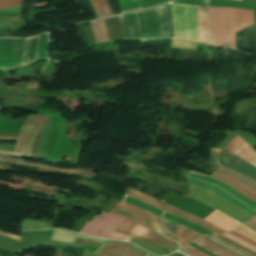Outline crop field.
Listing matches in <instances>:
<instances>
[{"label": "crop field", "mask_w": 256, "mask_h": 256, "mask_svg": "<svg viewBox=\"0 0 256 256\" xmlns=\"http://www.w3.org/2000/svg\"><path fill=\"white\" fill-rule=\"evenodd\" d=\"M104 21L110 39L124 38L119 16Z\"/></svg>", "instance_id": "crop-field-18"}, {"label": "crop field", "mask_w": 256, "mask_h": 256, "mask_svg": "<svg viewBox=\"0 0 256 256\" xmlns=\"http://www.w3.org/2000/svg\"><path fill=\"white\" fill-rule=\"evenodd\" d=\"M188 181L232 203L247 213L256 215V202L242 195L230 186L206 175L189 171Z\"/></svg>", "instance_id": "crop-field-4"}, {"label": "crop field", "mask_w": 256, "mask_h": 256, "mask_svg": "<svg viewBox=\"0 0 256 256\" xmlns=\"http://www.w3.org/2000/svg\"><path fill=\"white\" fill-rule=\"evenodd\" d=\"M210 237H212V238L218 240L219 242H221V243H223V244L229 246L228 244L222 242L221 240H219V239H217V238H215V237H213V236H210ZM210 237H209V238H210ZM212 238H211V239H212ZM214 239H213V240H214ZM216 240H215V241H216ZM218 241H217V242H218ZM221 243H220V244H221ZM223 244H222V245H223ZM225 245H224V246H225ZM227 246H226V247H227ZM229 247H231V246H229ZM231 248H233V247H231ZM233 249L236 250V251H238V252H240V253H242V254H244V255H246V256H250V255H248V254H246V253H243V252H241V251H239V250H237V249H235V248H233Z\"/></svg>", "instance_id": "crop-field-34"}, {"label": "crop field", "mask_w": 256, "mask_h": 256, "mask_svg": "<svg viewBox=\"0 0 256 256\" xmlns=\"http://www.w3.org/2000/svg\"><path fill=\"white\" fill-rule=\"evenodd\" d=\"M42 116H27L19 133L16 151L17 153L30 154L35 136L37 134Z\"/></svg>", "instance_id": "crop-field-10"}, {"label": "crop field", "mask_w": 256, "mask_h": 256, "mask_svg": "<svg viewBox=\"0 0 256 256\" xmlns=\"http://www.w3.org/2000/svg\"><path fill=\"white\" fill-rule=\"evenodd\" d=\"M180 250H182V251H184V252H186V253H188V254H190L191 256H208V255H206V254H204V253H202V252H200V251H198V250H196V249H194V248H192V247H190V246H185V247H182V248H180ZM179 251V250H178ZM181 252V251H180ZM183 253V252H182ZM185 254V253H184ZM187 255V254H186ZM189 256V255H188Z\"/></svg>", "instance_id": "crop-field-29"}, {"label": "crop field", "mask_w": 256, "mask_h": 256, "mask_svg": "<svg viewBox=\"0 0 256 256\" xmlns=\"http://www.w3.org/2000/svg\"><path fill=\"white\" fill-rule=\"evenodd\" d=\"M205 220L219 226L226 231L232 229L256 242L255 231L233 221L232 219L228 218L227 216L216 210L212 212L208 217H206Z\"/></svg>", "instance_id": "crop-field-14"}, {"label": "crop field", "mask_w": 256, "mask_h": 256, "mask_svg": "<svg viewBox=\"0 0 256 256\" xmlns=\"http://www.w3.org/2000/svg\"><path fill=\"white\" fill-rule=\"evenodd\" d=\"M163 217H164V218H167V219H170V220H173V221H175V222H177V223H179V224H181V225H183V226H185V227L192 228V229H194V230H196V231L202 233V234L205 235V236H208V235H216V234H214V233H212V232H210V231L204 229V228L201 227V226H198V225H196V224H194V223H192V222H189V221H187V220H185V219H182V218L177 217V216H175V215H172V214H170V213L165 212Z\"/></svg>", "instance_id": "crop-field-20"}, {"label": "crop field", "mask_w": 256, "mask_h": 256, "mask_svg": "<svg viewBox=\"0 0 256 256\" xmlns=\"http://www.w3.org/2000/svg\"><path fill=\"white\" fill-rule=\"evenodd\" d=\"M192 243H194V244H196V245L202 247V248L205 249V250L211 248V249H213V250L215 251V253L219 254L220 256H233V255H231V254H229V253H227V252H225V251H223V250H221V249H219V248H217V247L211 245L210 243H208V242H206V241H204V240H202V239H198V240H196V241H194V242H192ZM211 249L208 250V251L214 253L213 250H211ZM215 253H214V254H215ZM217 254H216V255H217ZM219 255H218V256H219Z\"/></svg>", "instance_id": "crop-field-26"}, {"label": "crop field", "mask_w": 256, "mask_h": 256, "mask_svg": "<svg viewBox=\"0 0 256 256\" xmlns=\"http://www.w3.org/2000/svg\"><path fill=\"white\" fill-rule=\"evenodd\" d=\"M25 39H0V66L21 64Z\"/></svg>", "instance_id": "crop-field-8"}, {"label": "crop field", "mask_w": 256, "mask_h": 256, "mask_svg": "<svg viewBox=\"0 0 256 256\" xmlns=\"http://www.w3.org/2000/svg\"><path fill=\"white\" fill-rule=\"evenodd\" d=\"M95 253L103 256H155L134 244L112 240H108Z\"/></svg>", "instance_id": "crop-field-9"}, {"label": "crop field", "mask_w": 256, "mask_h": 256, "mask_svg": "<svg viewBox=\"0 0 256 256\" xmlns=\"http://www.w3.org/2000/svg\"><path fill=\"white\" fill-rule=\"evenodd\" d=\"M21 9H22V7L2 9V10H0V14L17 13V12H21Z\"/></svg>", "instance_id": "crop-field-32"}, {"label": "crop field", "mask_w": 256, "mask_h": 256, "mask_svg": "<svg viewBox=\"0 0 256 256\" xmlns=\"http://www.w3.org/2000/svg\"><path fill=\"white\" fill-rule=\"evenodd\" d=\"M90 23L93 29L96 43L109 41L103 20L93 21Z\"/></svg>", "instance_id": "crop-field-21"}, {"label": "crop field", "mask_w": 256, "mask_h": 256, "mask_svg": "<svg viewBox=\"0 0 256 256\" xmlns=\"http://www.w3.org/2000/svg\"><path fill=\"white\" fill-rule=\"evenodd\" d=\"M0 234H1V235H4V236L11 237V238H14V239H17V240H19V238H20V237H18V236L9 235V234L3 233V232H0Z\"/></svg>", "instance_id": "crop-field-36"}, {"label": "crop field", "mask_w": 256, "mask_h": 256, "mask_svg": "<svg viewBox=\"0 0 256 256\" xmlns=\"http://www.w3.org/2000/svg\"><path fill=\"white\" fill-rule=\"evenodd\" d=\"M97 18L113 15L107 0H91Z\"/></svg>", "instance_id": "crop-field-22"}, {"label": "crop field", "mask_w": 256, "mask_h": 256, "mask_svg": "<svg viewBox=\"0 0 256 256\" xmlns=\"http://www.w3.org/2000/svg\"><path fill=\"white\" fill-rule=\"evenodd\" d=\"M172 5L175 39L199 42L197 6ZM200 42L210 44L208 35L207 7L198 6Z\"/></svg>", "instance_id": "crop-field-3"}, {"label": "crop field", "mask_w": 256, "mask_h": 256, "mask_svg": "<svg viewBox=\"0 0 256 256\" xmlns=\"http://www.w3.org/2000/svg\"><path fill=\"white\" fill-rule=\"evenodd\" d=\"M123 201L128 202L130 204H133L135 206H138L140 208H143V209H145L147 211H150L152 213H155V214H157L159 216H162V214H163L162 210H160V209H158V208H156V207H154V206H152V205H150L148 203H145V202H143L141 200L132 198V197L127 196V195L124 196Z\"/></svg>", "instance_id": "crop-field-24"}, {"label": "crop field", "mask_w": 256, "mask_h": 256, "mask_svg": "<svg viewBox=\"0 0 256 256\" xmlns=\"http://www.w3.org/2000/svg\"><path fill=\"white\" fill-rule=\"evenodd\" d=\"M253 23V10L209 7V24L214 45L235 49L234 32Z\"/></svg>", "instance_id": "crop-field-2"}, {"label": "crop field", "mask_w": 256, "mask_h": 256, "mask_svg": "<svg viewBox=\"0 0 256 256\" xmlns=\"http://www.w3.org/2000/svg\"><path fill=\"white\" fill-rule=\"evenodd\" d=\"M126 194L130 195V196H133L135 198L141 199L143 201H146V202H148L150 204H153V205H155V206H157V207H159V208H161L163 210H166V211H168V212H170L172 214H175V215L180 216L182 218L191 220V221H193V222H195V223H197V224H199V225H201V226H203V227H205V228H207V229H209V230H211V231H213V232H215L217 234H222V233L225 232V231H223L221 229H218L219 227L216 228L217 226L215 227L214 225H212V224H210V223H208V222H206V221H204V220H202L200 218L194 217V216H192V215H190V214H188L186 212H183L181 210L175 209V208H173V207H171V206H169V205H167V204H165L163 202L157 201V200H155L153 198H150V197H148L146 195H143V194H141V193H139L137 191L128 189Z\"/></svg>", "instance_id": "crop-field-11"}, {"label": "crop field", "mask_w": 256, "mask_h": 256, "mask_svg": "<svg viewBox=\"0 0 256 256\" xmlns=\"http://www.w3.org/2000/svg\"><path fill=\"white\" fill-rule=\"evenodd\" d=\"M151 39H174L170 2L146 10ZM125 38L150 39L145 10L120 16Z\"/></svg>", "instance_id": "crop-field-1"}, {"label": "crop field", "mask_w": 256, "mask_h": 256, "mask_svg": "<svg viewBox=\"0 0 256 256\" xmlns=\"http://www.w3.org/2000/svg\"><path fill=\"white\" fill-rule=\"evenodd\" d=\"M23 1L25 0H0V8L22 5Z\"/></svg>", "instance_id": "crop-field-30"}, {"label": "crop field", "mask_w": 256, "mask_h": 256, "mask_svg": "<svg viewBox=\"0 0 256 256\" xmlns=\"http://www.w3.org/2000/svg\"><path fill=\"white\" fill-rule=\"evenodd\" d=\"M251 222H253L254 224H256V217H254L253 219L249 220Z\"/></svg>", "instance_id": "crop-field-39"}, {"label": "crop field", "mask_w": 256, "mask_h": 256, "mask_svg": "<svg viewBox=\"0 0 256 256\" xmlns=\"http://www.w3.org/2000/svg\"><path fill=\"white\" fill-rule=\"evenodd\" d=\"M203 239L208 241V242H210V243H212V244H214V245H216V246H218V247H220V248H222V249H224V250H226V251H229V252H231V253H233V254H235L237 256H242V255H240V254H238V253H236V252H234L232 250H229V249L225 248L224 246L218 244L217 242H215V241H213V240H211V239H209L207 237H204Z\"/></svg>", "instance_id": "crop-field-31"}, {"label": "crop field", "mask_w": 256, "mask_h": 256, "mask_svg": "<svg viewBox=\"0 0 256 256\" xmlns=\"http://www.w3.org/2000/svg\"><path fill=\"white\" fill-rule=\"evenodd\" d=\"M119 3L124 13L141 9L138 0H119Z\"/></svg>", "instance_id": "crop-field-27"}, {"label": "crop field", "mask_w": 256, "mask_h": 256, "mask_svg": "<svg viewBox=\"0 0 256 256\" xmlns=\"http://www.w3.org/2000/svg\"><path fill=\"white\" fill-rule=\"evenodd\" d=\"M141 226V225H140ZM128 220H124L116 229L115 231H119V232H122V233H126V234H129L131 236H134V237H137V238H140L142 239L145 234L148 232V230L140 227Z\"/></svg>", "instance_id": "crop-field-16"}, {"label": "crop field", "mask_w": 256, "mask_h": 256, "mask_svg": "<svg viewBox=\"0 0 256 256\" xmlns=\"http://www.w3.org/2000/svg\"><path fill=\"white\" fill-rule=\"evenodd\" d=\"M143 240L150 241L158 246L167 248L171 251H176V249L179 247L177 244H175L173 241L168 240L158 234H155L151 231H149L146 236L143 238Z\"/></svg>", "instance_id": "crop-field-19"}, {"label": "crop field", "mask_w": 256, "mask_h": 256, "mask_svg": "<svg viewBox=\"0 0 256 256\" xmlns=\"http://www.w3.org/2000/svg\"><path fill=\"white\" fill-rule=\"evenodd\" d=\"M244 225H246L256 231V225L252 224L251 222L248 221Z\"/></svg>", "instance_id": "crop-field-35"}, {"label": "crop field", "mask_w": 256, "mask_h": 256, "mask_svg": "<svg viewBox=\"0 0 256 256\" xmlns=\"http://www.w3.org/2000/svg\"><path fill=\"white\" fill-rule=\"evenodd\" d=\"M162 228L166 237L177 241L183 246L196 240L198 237H204L194 230H190L164 218L162 219Z\"/></svg>", "instance_id": "crop-field-12"}, {"label": "crop field", "mask_w": 256, "mask_h": 256, "mask_svg": "<svg viewBox=\"0 0 256 256\" xmlns=\"http://www.w3.org/2000/svg\"><path fill=\"white\" fill-rule=\"evenodd\" d=\"M228 232H230V233L236 235L237 237H239V238H241V239H243V240H245V241H247V242H249V243H251V244H253V245L256 246V243H255V242H253V241H251V240H249V239H247V238H245V237H243V236H241V235L235 233L234 231L230 230V231H228ZM234 235H233V236H234ZM236 236H235V237H236Z\"/></svg>", "instance_id": "crop-field-33"}, {"label": "crop field", "mask_w": 256, "mask_h": 256, "mask_svg": "<svg viewBox=\"0 0 256 256\" xmlns=\"http://www.w3.org/2000/svg\"><path fill=\"white\" fill-rule=\"evenodd\" d=\"M217 171L227 175V176H230L232 177L233 179H235L236 181L240 182L241 184L245 185L246 187L250 188L251 190L255 191L256 192V183L239 175V174H236L228 169H225L223 167H220L219 169H217Z\"/></svg>", "instance_id": "crop-field-23"}, {"label": "crop field", "mask_w": 256, "mask_h": 256, "mask_svg": "<svg viewBox=\"0 0 256 256\" xmlns=\"http://www.w3.org/2000/svg\"><path fill=\"white\" fill-rule=\"evenodd\" d=\"M124 218L103 213L95 216L90 222H86L81 233L103 238L130 241L131 236L113 231Z\"/></svg>", "instance_id": "crop-field-5"}, {"label": "crop field", "mask_w": 256, "mask_h": 256, "mask_svg": "<svg viewBox=\"0 0 256 256\" xmlns=\"http://www.w3.org/2000/svg\"><path fill=\"white\" fill-rule=\"evenodd\" d=\"M188 196L209 204L213 208L229 215L230 217L241 223L253 217L246 212L240 210L239 208L229 204L228 202L194 185H190V191Z\"/></svg>", "instance_id": "crop-field-6"}, {"label": "crop field", "mask_w": 256, "mask_h": 256, "mask_svg": "<svg viewBox=\"0 0 256 256\" xmlns=\"http://www.w3.org/2000/svg\"><path fill=\"white\" fill-rule=\"evenodd\" d=\"M53 228V224L25 219L22 222V230H33V229H51Z\"/></svg>", "instance_id": "crop-field-25"}, {"label": "crop field", "mask_w": 256, "mask_h": 256, "mask_svg": "<svg viewBox=\"0 0 256 256\" xmlns=\"http://www.w3.org/2000/svg\"><path fill=\"white\" fill-rule=\"evenodd\" d=\"M225 149L256 166V151L239 136L234 137Z\"/></svg>", "instance_id": "crop-field-15"}, {"label": "crop field", "mask_w": 256, "mask_h": 256, "mask_svg": "<svg viewBox=\"0 0 256 256\" xmlns=\"http://www.w3.org/2000/svg\"><path fill=\"white\" fill-rule=\"evenodd\" d=\"M218 159L221 166L227 167L230 170L238 172L256 181V167L248 162L224 150L219 153Z\"/></svg>", "instance_id": "crop-field-13"}, {"label": "crop field", "mask_w": 256, "mask_h": 256, "mask_svg": "<svg viewBox=\"0 0 256 256\" xmlns=\"http://www.w3.org/2000/svg\"><path fill=\"white\" fill-rule=\"evenodd\" d=\"M111 212L125 216L157 233L162 234L160 227V217L150 212L122 201H120Z\"/></svg>", "instance_id": "crop-field-7"}, {"label": "crop field", "mask_w": 256, "mask_h": 256, "mask_svg": "<svg viewBox=\"0 0 256 256\" xmlns=\"http://www.w3.org/2000/svg\"><path fill=\"white\" fill-rule=\"evenodd\" d=\"M0 154H3V155H12V156H16V157H19L20 155H17V154H11V153H6V152H2L0 151Z\"/></svg>", "instance_id": "crop-field-37"}, {"label": "crop field", "mask_w": 256, "mask_h": 256, "mask_svg": "<svg viewBox=\"0 0 256 256\" xmlns=\"http://www.w3.org/2000/svg\"><path fill=\"white\" fill-rule=\"evenodd\" d=\"M171 47H176V48H184V49H196V43L193 42H186V41H178V40H173L172 46Z\"/></svg>", "instance_id": "crop-field-28"}, {"label": "crop field", "mask_w": 256, "mask_h": 256, "mask_svg": "<svg viewBox=\"0 0 256 256\" xmlns=\"http://www.w3.org/2000/svg\"><path fill=\"white\" fill-rule=\"evenodd\" d=\"M17 138H4V139H0V140H16Z\"/></svg>", "instance_id": "crop-field-38"}, {"label": "crop field", "mask_w": 256, "mask_h": 256, "mask_svg": "<svg viewBox=\"0 0 256 256\" xmlns=\"http://www.w3.org/2000/svg\"><path fill=\"white\" fill-rule=\"evenodd\" d=\"M210 177L219 179L223 182H225L226 184L230 185L231 187H233L234 189L238 190L239 192H241L242 194L246 195L247 197L253 199L256 201V193H254L253 191H251L250 189L240 185L239 183H237L236 181L232 180L231 178L224 176L218 172H214L213 174L210 175Z\"/></svg>", "instance_id": "crop-field-17"}]
</instances>
